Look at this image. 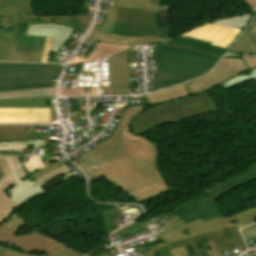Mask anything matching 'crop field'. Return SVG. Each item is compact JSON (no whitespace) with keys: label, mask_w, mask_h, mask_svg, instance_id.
I'll use <instances>...</instances> for the list:
<instances>
[{"label":"crop field","mask_w":256,"mask_h":256,"mask_svg":"<svg viewBox=\"0 0 256 256\" xmlns=\"http://www.w3.org/2000/svg\"><path fill=\"white\" fill-rule=\"evenodd\" d=\"M144 109L127 108L113 135L85 153L82 157L86 161L79 164L83 169L101 164L102 167L86 170L91 182L103 176L140 203L170 190L157 166L155 144L132 135L129 126L131 119Z\"/></svg>","instance_id":"8a807250"},{"label":"crop field","mask_w":256,"mask_h":256,"mask_svg":"<svg viewBox=\"0 0 256 256\" xmlns=\"http://www.w3.org/2000/svg\"><path fill=\"white\" fill-rule=\"evenodd\" d=\"M170 6L148 5V0H111L105 26L94 25L86 40L127 46L159 42V11Z\"/></svg>","instance_id":"ac0d7876"},{"label":"crop field","mask_w":256,"mask_h":256,"mask_svg":"<svg viewBox=\"0 0 256 256\" xmlns=\"http://www.w3.org/2000/svg\"><path fill=\"white\" fill-rule=\"evenodd\" d=\"M219 58L220 56L160 43L156 49L157 88L191 80L212 68Z\"/></svg>","instance_id":"34b2d1b8"},{"label":"crop field","mask_w":256,"mask_h":256,"mask_svg":"<svg viewBox=\"0 0 256 256\" xmlns=\"http://www.w3.org/2000/svg\"><path fill=\"white\" fill-rule=\"evenodd\" d=\"M218 111L208 92L150 107L133 118V134L140 135L159 125Z\"/></svg>","instance_id":"412701ff"},{"label":"crop field","mask_w":256,"mask_h":256,"mask_svg":"<svg viewBox=\"0 0 256 256\" xmlns=\"http://www.w3.org/2000/svg\"><path fill=\"white\" fill-rule=\"evenodd\" d=\"M256 221V208L244 211L235 216L226 218L222 216L208 222L194 221L177 229L169 230L157 236L166 242L151 247L154 254L177 248L183 245L193 244L209 239L218 238L216 231L238 227L241 229Z\"/></svg>","instance_id":"f4fd0767"},{"label":"crop field","mask_w":256,"mask_h":256,"mask_svg":"<svg viewBox=\"0 0 256 256\" xmlns=\"http://www.w3.org/2000/svg\"><path fill=\"white\" fill-rule=\"evenodd\" d=\"M256 79V57L239 59L223 58L222 61L206 76L183 84L190 95L207 91L220 84L225 88Z\"/></svg>","instance_id":"dd49c442"},{"label":"crop field","mask_w":256,"mask_h":256,"mask_svg":"<svg viewBox=\"0 0 256 256\" xmlns=\"http://www.w3.org/2000/svg\"><path fill=\"white\" fill-rule=\"evenodd\" d=\"M32 0H0V31L26 34L27 23H62L88 27L86 18H34Z\"/></svg>","instance_id":"e52e79f7"},{"label":"crop field","mask_w":256,"mask_h":256,"mask_svg":"<svg viewBox=\"0 0 256 256\" xmlns=\"http://www.w3.org/2000/svg\"><path fill=\"white\" fill-rule=\"evenodd\" d=\"M26 223H28L27 220L12 212L10 216L0 224V244L24 253H29V251L33 250H37L38 252L40 250H45L46 255L54 251L57 247L63 245L35 230L15 235V233Z\"/></svg>","instance_id":"d8731c3e"},{"label":"crop field","mask_w":256,"mask_h":256,"mask_svg":"<svg viewBox=\"0 0 256 256\" xmlns=\"http://www.w3.org/2000/svg\"><path fill=\"white\" fill-rule=\"evenodd\" d=\"M62 65L0 63V82L56 80Z\"/></svg>","instance_id":"5a996713"},{"label":"crop field","mask_w":256,"mask_h":256,"mask_svg":"<svg viewBox=\"0 0 256 256\" xmlns=\"http://www.w3.org/2000/svg\"><path fill=\"white\" fill-rule=\"evenodd\" d=\"M54 87L32 90L0 92V107H50L51 122L56 119ZM12 104V105H11Z\"/></svg>","instance_id":"3316defc"},{"label":"crop field","mask_w":256,"mask_h":256,"mask_svg":"<svg viewBox=\"0 0 256 256\" xmlns=\"http://www.w3.org/2000/svg\"><path fill=\"white\" fill-rule=\"evenodd\" d=\"M45 39L13 34L5 61L41 62Z\"/></svg>","instance_id":"28ad6ade"},{"label":"crop field","mask_w":256,"mask_h":256,"mask_svg":"<svg viewBox=\"0 0 256 256\" xmlns=\"http://www.w3.org/2000/svg\"><path fill=\"white\" fill-rule=\"evenodd\" d=\"M172 211L186 223L197 219L205 222L223 215L220 208L205 197L203 193Z\"/></svg>","instance_id":"d1516ede"},{"label":"crop field","mask_w":256,"mask_h":256,"mask_svg":"<svg viewBox=\"0 0 256 256\" xmlns=\"http://www.w3.org/2000/svg\"><path fill=\"white\" fill-rule=\"evenodd\" d=\"M111 95L129 94L128 49L109 56Z\"/></svg>","instance_id":"22f410ed"},{"label":"crop field","mask_w":256,"mask_h":256,"mask_svg":"<svg viewBox=\"0 0 256 256\" xmlns=\"http://www.w3.org/2000/svg\"><path fill=\"white\" fill-rule=\"evenodd\" d=\"M239 30L229 29L217 25L205 24L185 35L195 39L212 42L213 45L227 48Z\"/></svg>","instance_id":"cbeb9de0"},{"label":"crop field","mask_w":256,"mask_h":256,"mask_svg":"<svg viewBox=\"0 0 256 256\" xmlns=\"http://www.w3.org/2000/svg\"><path fill=\"white\" fill-rule=\"evenodd\" d=\"M32 110V112H30ZM50 122L49 108L14 109L0 108V123Z\"/></svg>","instance_id":"5142ce71"},{"label":"crop field","mask_w":256,"mask_h":256,"mask_svg":"<svg viewBox=\"0 0 256 256\" xmlns=\"http://www.w3.org/2000/svg\"><path fill=\"white\" fill-rule=\"evenodd\" d=\"M74 31L55 24H28L27 34L52 38L50 50L58 52Z\"/></svg>","instance_id":"d9b57169"},{"label":"crop field","mask_w":256,"mask_h":256,"mask_svg":"<svg viewBox=\"0 0 256 256\" xmlns=\"http://www.w3.org/2000/svg\"><path fill=\"white\" fill-rule=\"evenodd\" d=\"M12 175L16 184L12 186L10 189H8L6 192L9 198L19 206L25 203L27 199L33 196L46 193L43 191L40 185L34 183L35 181L31 182L29 180H26V181L20 182V179L16 171H14Z\"/></svg>","instance_id":"733c2abd"},{"label":"crop field","mask_w":256,"mask_h":256,"mask_svg":"<svg viewBox=\"0 0 256 256\" xmlns=\"http://www.w3.org/2000/svg\"><path fill=\"white\" fill-rule=\"evenodd\" d=\"M256 180V164L250 166L247 173L234 177L230 180H227L213 188L208 189L204 192L205 196H207L211 201L216 200L221 197L225 193L237 188L238 186Z\"/></svg>","instance_id":"4a817a6b"},{"label":"crop field","mask_w":256,"mask_h":256,"mask_svg":"<svg viewBox=\"0 0 256 256\" xmlns=\"http://www.w3.org/2000/svg\"><path fill=\"white\" fill-rule=\"evenodd\" d=\"M161 43L191 48V49H195L198 51L212 53V54H216V55H220V56H222L223 52L225 51V49L219 48L216 46H212L208 42H204L201 40H195V39H191L188 37H186V38L178 37L176 39L164 41Z\"/></svg>","instance_id":"bc2a9ffb"},{"label":"crop field","mask_w":256,"mask_h":256,"mask_svg":"<svg viewBox=\"0 0 256 256\" xmlns=\"http://www.w3.org/2000/svg\"><path fill=\"white\" fill-rule=\"evenodd\" d=\"M34 140V134H26L25 126H0V142Z\"/></svg>","instance_id":"214f88e0"},{"label":"crop field","mask_w":256,"mask_h":256,"mask_svg":"<svg viewBox=\"0 0 256 256\" xmlns=\"http://www.w3.org/2000/svg\"><path fill=\"white\" fill-rule=\"evenodd\" d=\"M151 106L178 98L188 97L182 85L146 95Z\"/></svg>","instance_id":"92a150f3"},{"label":"crop field","mask_w":256,"mask_h":256,"mask_svg":"<svg viewBox=\"0 0 256 256\" xmlns=\"http://www.w3.org/2000/svg\"><path fill=\"white\" fill-rule=\"evenodd\" d=\"M14 184L12 175L0 184V223L8 217L13 209L18 207L5 193V191ZM6 204H8V206H6Z\"/></svg>","instance_id":"dafd665d"},{"label":"crop field","mask_w":256,"mask_h":256,"mask_svg":"<svg viewBox=\"0 0 256 256\" xmlns=\"http://www.w3.org/2000/svg\"><path fill=\"white\" fill-rule=\"evenodd\" d=\"M125 48H128L127 46H121V45H114V44H108V43H102L98 42L90 56L88 57V60L92 59H99L106 57L110 54L116 53L118 51H121Z\"/></svg>","instance_id":"00972430"},{"label":"crop field","mask_w":256,"mask_h":256,"mask_svg":"<svg viewBox=\"0 0 256 256\" xmlns=\"http://www.w3.org/2000/svg\"><path fill=\"white\" fill-rule=\"evenodd\" d=\"M55 82L56 81L22 82V83H0V91L51 87V86L55 85Z\"/></svg>","instance_id":"a9b5d70f"},{"label":"crop field","mask_w":256,"mask_h":256,"mask_svg":"<svg viewBox=\"0 0 256 256\" xmlns=\"http://www.w3.org/2000/svg\"><path fill=\"white\" fill-rule=\"evenodd\" d=\"M250 18H251V15L246 14L241 16H235L232 18L215 20L213 21V23L218 25H224V26H230V27L242 29L243 26L246 24V22L250 20Z\"/></svg>","instance_id":"4177f3b9"},{"label":"crop field","mask_w":256,"mask_h":256,"mask_svg":"<svg viewBox=\"0 0 256 256\" xmlns=\"http://www.w3.org/2000/svg\"><path fill=\"white\" fill-rule=\"evenodd\" d=\"M103 214L105 218L106 230L109 235V233L118 228L115 218H119L122 216L116 206L106 211H103Z\"/></svg>","instance_id":"730fd06b"},{"label":"crop field","mask_w":256,"mask_h":256,"mask_svg":"<svg viewBox=\"0 0 256 256\" xmlns=\"http://www.w3.org/2000/svg\"><path fill=\"white\" fill-rule=\"evenodd\" d=\"M70 169L65 165L49 172L48 174L42 176L41 178H39L38 180H36L35 182L40 184L41 186H43L44 184L54 180L55 178L69 172ZM45 186V185H44Z\"/></svg>","instance_id":"eef30255"},{"label":"crop field","mask_w":256,"mask_h":256,"mask_svg":"<svg viewBox=\"0 0 256 256\" xmlns=\"http://www.w3.org/2000/svg\"><path fill=\"white\" fill-rule=\"evenodd\" d=\"M229 54H239V55H254L252 49L246 40L245 36H243L233 47Z\"/></svg>","instance_id":"ae1a2a85"},{"label":"crop field","mask_w":256,"mask_h":256,"mask_svg":"<svg viewBox=\"0 0 256 256\" xmlns=\"http://www.w3.org/2000/svg\"><path fill=\"white\" fill-rule=\"evenodd\" d=\"M218 234L220 238L215 239V242L219 245L220 248H226L228 256H235L224 230L218 231Z\"/></svg>","instance_id":"d3111659"},{"label":"crop field","mask_w":256,"mask_h":256,"mask_svg":"<svg viewBox=\"0 0 256 256\" xmlns=\"http://www.w3.org/2000/svg\"><path fill=\"white\" fill-rule=\"evenodd\" d=\"M12 34H5L0 32V61H4L8 45L10 43Z\"/></svg>","instance_id":"750c4746"},{"label":"crop field","mask_w":256,"mask_h":256,"mask_svg":"<svg viewBox=\"0 0 256 256\" xmlns=\"http://www.w3.org/2000/svg\"><path fill=\"white\" fill-rule=\"evenodd\" d=\"M66 162H68L66 159H61V160H59V161H57V162H55V163H53V164H51V165H49L45 168L33 173L32 175H30L28 177L33 179V180H36L37 178L41 177L42 175L48 173L49 171L55 169L56 167L66 163Z\"/></svg>","instance_id":"bd1437ed"},{"label":"crop field","mask_w":256,"mask_h":256,"mask_svg":"<svg viewBox=\"0 0 256 256\" xmlns=\"http://www.w3.org/2000/svg\"><path fill=\"white\" fill-rule=\"evenodd\" d=\"M145 230L142 226L140 225H136V224H130L128 226H126L125 228H123L122 230H120L119 232H117V236L118 238L133 234V233H137L140 231Z\"/></svg>","instance_id":"1d83c4d3"},{"label":"crop field","mask_w":256,"mask_h":256,"mask_svg":"<svg viewBox=\"0 0 256 256\" xmlns=\"http://www.w3.org/2000/svg\"><path fill=\"white\" fill-rule=\"evenodd\" d=\"M22 148H26V142L0 143V150L22 151Z\"/></svg>","instance_id":"120bbe31"},{"label":"crop field","mask_w":256,"mask_h":256,"mask_svg":"<svg viewBox=\"0 0 256 256\" xmlns=\"http://www.w3.org/2000/svg\"><path fill=\"white\" fill-rule=\"evenodd\" d=\"M246 37L256 55V24L254 23L252 27L246 32Z\"/></svg>","instance_id":"d32e631a"},{"label":"crop field","mask_w":256,"mask_h":256,"mask_svg":"<svg viewBox=\"0 0 256 256\" xmlns=\"http://www.w3.org/2000/svg\"><path fill=\"white\" fill-rule=\"evenodd\" d=\"M76 254H79V253L71 250L70 248H68L67 246L64 245V246L56 249L54 252H52L48 256H74ZM43 256H45V255H43Z\"/></svg>","instance_id":"5866460e"},{"label":"crop field","mask_w":256,"mask_h":256,"mask_svg":"<svg viewBox=\"0 0 256 256\" xmlns=\"http://www.w3.org/2000/svg\"><path fill=\"white\" fill-rule=\"evenodd\" d=\"M244 240L256 238V223H253L241 230Z\"/></svg>","instance_id":"028f5c9d"},{"label":"crop field","mask_w":256,"mask_h":256,"mask_svg":"<svg viewBox=\"0 0 256 256\" xmlns=\"http://www.w3.org/2000/svg\"><path fill=\"white\" fill-rule=\"evenodd\" d=\"M0 256H33L31 254H24L16 250L10 249L3 245H0Z\"/></svg>","instance_id":"e1f06a70"},{"label":"crop field","mask_w":256,"mask_h":256,"mask_svg":"<svg viewBox=\"0 0 256 256\" xmlns=\"http://www.w3.org/2000/svg\"><path fill=\"white\" fill-rule=\"evenodd\" d=\"M229 230H230V232H231V234H232V236H233V238H234V240L236 242V245L237 246L241 245L243 251H245L247 249V247H246V245H245V243H244L240 233L239 232L236 233L234 228L229 229Z\"/></svg>","instance_id":"0bd39190"},{"label":"crop field","mask_w":256,"mask_h":256,"mask_svg":"<svg viewBox=\"0 0 256 256\" xmlns=\"http://www.w3.org/2000/svg\"><path fill=\"white\" fill-rule=\"evenodd\" d=\"M60 95H83V88L59 89Z\"/></svg>","instance_id":"b80d0937"},{"label":"crop field","mask_w":256,"mask_h":256,"mask_svg":"<svg viewBox=\"0 0 256 256\" xmlns=\"http://www.w3.org/2000/svg\"><path fill=\"white\" fill-rule=\"evenodd\" d=\"M183 224H185V222L176 216V217L172 218L169 222L165 223L164 225L171 229H174Z\"/></svg>","instance_id":"c035e120"},{"label":"crop field","mask_w":256,"mask_h":256,"mask_svg":"<svg viewBox=\"0 0 256 256\" xmlns=\"http://www.w3.org/2000/svg\"><path fill=\"white\" fill-rule=\"evenodd\" d=\"M169 252L171 256H190L185 246L170 250Z\"/></svg>","instance_id":"c21b1889"},{"label":"crop field","mask_w":256,"mask_h":256,"mask_svg":"<svg viewBox=\"0 0 256 256\" xmlns=\"http://www.w3.org/2000/svg\"><path fill=\"white\" fill-rule=\"evenodd\" d=\"M32 153L27 152H18V151H0V155H9V156H22L27 157L31 155Z\"/></svg>","instance_id":"03da06ac"},{"label":"crop field","mask_w":256,"mask_h":256,"mask_svg":"<svg viewBox=\"0 0 256 256\" xmlns=\"http://www.w3.org/2000/svg\"><path fill=\"white\" fill-rule=\"evenodd\" d=\"M50 44H51V39L47 38L46 43H45V47H44L42 62H47Z\"/></svg>","instance_id":"b54c1fbb"},{"label":"crop field","mask_w":256,"mask_h":256,"mask_svg":"<svg viewBox=\"0 0 256 256\" xmlns=\"http://www.w3.org/2000/svg\"><path fill=\"white\" fill-rule=\"evenodd\" d=\"M0 164L5 177L10 173L4 156H0Z\"/></svg>","instance_id":"5d738f31"},{"label":"crop field","mask_w":256,"mask_h":256,"mask_svg":"<svg viewBox=\"0 0 256 256\" xmlns=\"http://www.w3.org/2000/svg\"><path fill=\"white\" fill-rule=\"evenodd\" d=\"M173 32L167 26H160V36L168 39Z\"/></svg>","instance_id":"d23c7cc5"},{"label":"crop field","mask_w":256,"mask_h":256,"mask_svg":"<svg viewBox=\"0 0 256 256\" xmlns=\"http://www.w3.org/2000/svg\"><path fill=\"white\" fill-rule=\"evenodd\" d=\"M208 243H209L213 253L215 254V256H221L219 251H218V249H217L216 244L214 243V241L213 240H209Z\"/></svg>","instance_id":"425ffa30"},{"label":"crop field","mask_w":256,"mask_h":256,"mask_svg":"<svg viewBox=\"0 0 256 256\" xmlns=\"http://www.w3.org/2000/svg\"><path fill=\"white\" fill-rule=\"evenodd\" d=\"M16 171H17V173H18V175L20 176L21 179L27 176L26 173H25V171H24V169H23V167H22V165H20V166L16 169Z\"/></svg>","instance_id":"25e5ab78"},{"label":"crop field","mask_w":256,"mask_h":256,"mask_svg":"<svg viewBox=\"0 0 256 256\" xmlns=\"http://www.w3.org/2000/svg\"><path fill=\"white\" fill-rule=\"evenodd\" d=\"M248 4L251 6V8L256 11V0H246Z\"/></svg>","instance_id":"73cf0c24"},{"label":"crop field","mask_w":256,"mask_h":256,"mask_svg":"<svg viewBox=\"0 0 256 256\" xmlns=\"http://www.w3.org/2000/svg\"><path fill=\"white\" fill-rule=\"evenodd\" d=\"M5 157H6L8 166H9V168H10V171H12V170L14 169L13 163H12V159H11V157H9V156H5Z\"/></svg>","instance_id":"89e229c0"},{"label":"crop field","mask_w":256,"mask_h":256,"mask_svg":"<svg viewBox=\"0 0 256 256\" xmlns=\"http://www.w3.org/2000/svg\"><path fill=\"white\" fill-rule=\"evenodd\" d=\"M191 246H192V248H193V250H194L196 256H202V254H201L199 248L196 246V244H193V245H191Z\"/></svg>","instance_id":"1f2cbd36"},{"label":"crop field","mask_w":256,"mask_h":256,"mask_svg":"<svg viewBox=\"0 0 256 256\" xmlns=\"http://www.w3.org/2000/svg\"><path fill=\"white\" fill-rule=\"evenodd\" d=\"M139 99H140V101L142 102L143 105H145V106L150 105L146 96H141V97H139Z\"/></svg>","instance_id":"dbb93151"},{"label":"crop field","mask_w":256,"mask_h":256,"mask_svg":"<svg viewBox=\"0 0 256 256\" xmlns=\"http://www.w3.org/2000/svg\"><path fill=\"white\" fill-rule=\"evenodd\" d=\"M12 158H13L14 166L16 168L20 164V162L17 157H12Z\"/></svg>","instance_id":"0fb4a251"},{"label":"crop field","mask_w":256,"mask_h":256,"mask_svg":"<svg viewBox=\"0 0 256 256\" xmlns=\"http://www.w3.org/2000/svg\"><path fill=\"white\" fill-rule=\"evenodd\" d=\"M149 4H157V5H159V0H149Z\"/></svg>","instance_id":"1d79db26"},{"label":"crop field","mask_w":256,"mask_h":256,"mask_svg":"<svg viewBox=\"0 0 256 256\" xmlns=\"http://www.w3.org/2000/svg\"><path fill=\"white\" fill-rule=\"evenodd\" d=\"M4 178H5V177H4V175H3L2 171H1V167H0V183H1V181H2Z\"/></svg>","instance_id":"9d1cf04e"},{"label":"crop field","mask_w":256,"mask_h":256,"mask_svg":"<svg viewBox=\"0 0 256 256\" xmlns=\"http://www.w3.org/2000/svg\"><path fill=\"white\" fill-rule=\"evenodd\" d=\"M91 95H96V88H91Z\"/></svg>","instance_id":"447ae74e"},{"label":"crop field","mask_w":256,"mask_h":256,"mask_svg":"<svg viewBox=\"0 0 256 256\" xmlns=\"http://www.w3.org/2000/svg\"><path fill=\"white\" fill-rule=\"evenodd\" d=\"M99 256H110L106 251L100 254Z\"/></svg>","instance_id":"0765c3eb"},{"label":"crop field","mask_w":256,"mask_h":256,"mask_svg":"<svg viewBox=\"0 0 256 256\" xmlns=\"http://www.w3.org/2000/svg\"><path fill=\"white\" fill-rule=\"evenodd\" d=\"M76 256H83V255H76ZM88 256V255H87Z\"/></svg>","instance_id":"db79e9e6"},{"label":"crop field","mask_w":256,"mask_h":256,"mask_svg":"<svg viewBox=\"0 0 256 256\" xmlns=\"http://www.w3.org/2000/svg\"><path fill=\"white\" fill-rule=\"evenodd\" d=\"M256 23V22H255Z\"/></svg>","instance_id":"7b73153f"}]
</instances>
